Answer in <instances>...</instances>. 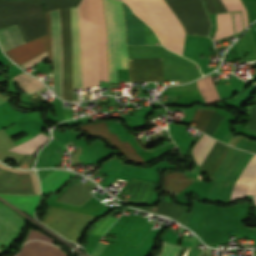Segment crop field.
I'll return each instance as SVG.
<instances>
[{"label":"crop field","instance_id":"8a807250","mask_svg":"<svg viewBox=\"0 0 256 256\" xmlns=\"http://www.w3.org/2000/svg\"><path fill=\"white\" fill-rule=\"evenodd\" d=\"M108 27L110 83L116 69L127 68L126 32L121 1L104 0ZM130 81H163L162 58L128 59Z\"/></svg>","mask_w":256,"mask_h":256},{"label":"crop field","instance_id":"ac0d7876","mask_svg":"<svg viewBox=\"0 0 256 256\" xmlns=\"http://www.w3.org/2000/svg\"><path fill=\"white\" fill-rule=\"evenodd\" d=\"M158 35L168 49L182 54L185 32L163 0H124Z\"/></svg>","mask_w":256,"mask_h":256},{"label":"crop field","instance_id":"34b2d1b8","mask_svg":"<svg viewBox=\"0 0 256 256\" xmlns=\"http://www.w3.org/2000/svg\"><path fill=\"white\" fill-rule=\"evenodd\" d=\"M16 24L25 42L46 33L41 2L0 0V29Z\"/></svg>","mask_w":256,"mask_h":256},{"label":"crop field","instance_id":"412701ff","mask_svg":"<svg viewBox=\"0 0 256 256\" xmlns=\"http://www.w3.org/2000/svg\"><path fill=\"white\" fill-rule=\"evenodd\" d=\"M96 217L49 206L43 220L44 224L68 240L78 242L83 230Z\"/></svg>","mask_w":256,"mask_h":256},{"label":"crop field","instance_id":"f4fd0767","mask_svg":"<svg viewBox=\"0 0 256 256\" xmlns=\"http://www.w3.org/2000/svg\"><path fill=\"white\" fill-rule=\"evenodd\" d=\"M83 87L99 85L97 26L81 19Z\"/></svg>","mask_w":256,"mask_h":256},{"label":"crop field","instance_id":"dd49c442","mask_svg":"<svg viewBox=\"0 0 256 256\" xmlns=\"http://www.w3.org/2000/svg\"><path fill=\"white\" fill-rule=\"evenodd\" d=\"M79 17L98 25L100 80L108 82L107 53H106V21L102 0H81Z\"/></svg>","mask_w":256,"mask_h":256},{"label":"crop field","instance_id":"e52e79f7","mask_svg":"<svg viewBox=\"0 0 256 256\" xmlns=\"http://www.w3.org/2000/svg\"><path fill=\"white\" fill-rule=\"evenodd\" d=\"M63 46V99L72 101V52L69 8L60 9Z\"/></svg>","mask_w":256,"mask_h":256},{"label":"crop field","instance_id":"d8731c3e","mask_svg":"<svg viewBox=\"0 0 256 256\" xmlns=\"http://www.w3.org/2000/svg\"><path fill=\"white\" fill-rule=\"evenodd\" d=\"M47 20L48 35L41 36L32 41L19 45L15 48L5 51V53L18 65L28 59L48 50V62H52L51 57V24L49 13H44Z\"/></svg>","mask_w":256,"mask_h":256},{"label":"crop field","instance_id":"5a996713","mask_svg":"<svg viewBox=\"0 0 256 256\" xmlns=\"http://www.w3.org/2000/svg\"><path fill=\"white\" fill-rule=\"evenodd\" d=\"M79 128L89 134L102 135L108 143L120 150L125 159L138 164H146L128 141L121 142L116 134H111L105 122L87 124Z\"/></svg>","mask_w":256,"mask_h":256},{"label":"crop field","instance_id":"3316defc","mask_svg":"<svg viewBox=\"0 0 256 256\" xmlns=\"http://www.w3.org/2000/svg\"><path fill=\"white\" fill-rule=\"evenodd\" d=\"M54 93L62 98V47L59 11H51Z\"/></svg>","mask_w":256,"mask_h":256},{"label":"crop field","instance_id":"28ad6ade","mask_svg":"<svg viewBox=\"0 0 256 256\" xmlns=\"http://www.w3.org/2000/svg\"><path fill=\"white\" fill-rule=\"evenodd\" d=\"M25 221L0 204V245H9L18 235Z\"/></svg>","mask_w":256,"mask_h":256},{"label":"crop field","instance_id":"d1516ede","mask_svg":"<svg viewBox=\"0 0 256 256\" xmlns=\"http://www.w3.org/2000/svg\"><path fill=\"white\" fill-rule=\"evenodd\" d=\"M72 24L73 89H82L81 42L77 8H70Z\"/></svg>","mask_w":256,"mask_h":256},{"label":"crop field","instance_id":"22f410ed","mask_svg":"<svg viewBox=\"0 0 256 256\" xmlns=\"http://www.w3.org/2000/svg\"><path fill=\"white\" fill-rule=\"evenodd\" d=\"M230 150L231 147L216 141L212 150L207 154L206 158L202 162L199 170L204 172L211 180Z\"/></svg>","mask_w":256,"mask_h":256},{"label":"crop field","instance_id":"cbeb9de0","mask_svg":"<svg viewBox=\"0 0 256 256\" xmlns=\"http://www.w3.org/2000/svg\"><path fill=\"white\" fill-rule=\"evenodd\" d=\"M95 186L96 185H94L90 181H88L84 187L75 182L55 201L81 206L83 203H85L89 198L93 196L89 192Z\"/></svg>","mask_w":256,"mask_h":256},{"label":"crop field","instance_id":"5142ce71","mask_svg":"<svg viewBox=\"0 0 256 256\" xmlns=\"http://www.w3.org/2000/svg\"><path fill=\"white\" fill-rule=\"evenodd\" d=\"M16 256H68L59 248L39 241L27 242Z\"/></svg>","mask_w":256,"mask_h":256},{"label":"crop field","instance_id":"d9b57169","mask_svg":"<svg viewBox=\"0 0 256 256\" xmlns=\"http://www.w3.org/2000/svg\"><path fill=\"white\" fill-rule=\"evenodd\" d=\"M78 175L62 170H54L43 180L40 181L42 194H49L52 191H56L59 187L64 186L69 179Z\"/></svg>","mask_w":256,"mask_h":256},{"label":"crop field","instance_id":"733c2abd","mask_svg":"<svg viewBox=\"0 0 256 256\" xmlns=\"http://www.w3.org/2000/svg\"><path fill=\"white\" fill-rule=\"evenodd\" d=\"M0 197L7 200L10 204L25 211L33 216V212L39 203L38 195H16V194H0Z\"/></svg>","mask_w":256,"mask_h":256},{"label":"crop field","instance_id":"4a817a6b","mask_svg":"<svg viewBox=\"0 0 256 256\" xmlns=\"http://www.w3.org/2000/svg\"><path fill=\"white\" fill-rule=\"evenodd\" d=\"M193 181L194 180L188 178L179 171L174 173H167L164 171V186L161 190L165 192H173L177 195Z\"/></svg>","mask_w":256,"mask_h":256},{"label":"crop field","instance_id":"bc2a9ffb","mask_svg":"<svg viewBox=\"0 0 256 256\" xmlns=\"http://www.w3.org/2000/svg\"><path fill=\"white\" fill-rule=\"evenodd\" d=\"M255 177H256V156L254 157L249 167L247 168V170L239 180L235 188L232 200L243 198L247 193L248 187L251 185Z\"/></svg>","mask_w":256,"mask_h":256},{"label":"crop field","instance_id":"214f88e0","mask_svg":"<svg viewBox=\"0 0 256 256\" xmlns=\"http://www.w3.org/2000/svg\"><path fill=\"white\" fill-rule=\"evenodd\" d=\"M11 79L17 81L18 87L22 91H24L30 95H32L33 93H36L38 91H41L43 89H46V86L44 84L39 82L36 78L27 75L23 71L20 72L19 74L15 75Z\"/></svg>","mask_w":256,"mask_h":256},{"label":"crop field","instance_id":"92a150f3","mask_svg":"<svg viewBox=\"0 0 256 256\" xmlns=\"http://www.w3.org/2000/svg\"><path fill=\"white\" fill-rule=\"evenodd\" d=\"M24 43L16 25L0 30V45L3 51Z\"/></svg>","mask_w":256,"mask_h":256},{"label":"crop field","instance_id":"dafd665d","mask_svg":"<svg viewBox=\"0 0 256 256\" xmlns=\"http://www.w3.org/2000/svg\"><path fill=\"white\" fill-rule=\"evenodd\" d=\"M197 84L199 92L206 104L220 99L210 76L198 80Z\"/></svg>","mask_w":256,"mask_h":256},{"label":"crop field","instance_id":"00972430","mask_svg":"<svg viewBox=\"0 0 256 256\" xmlns=\"http://www.w3.org/2000/svg\"><path fill=\"white\" fill-rule=\"evenodd\" d=\"M50 138L38 134L35 137L13 147L11 151L19 152V153H29L32 154L34 151H36L40 146H42L46 141H48Z\"/></svg>","mask_w":256,"mask_h":256},{"label":"crop field","instance_id":"a9b5d70f","mask_svg":"<svg viewBox=\"0 0 256 256\" xmlns=\"http://www.w3.org/2000/svg\"><path fill=\"white\" fill-rule=\"evenodd\" d=\"M217 22L218 28L214 41L234 34L230 13L217 14Z\"/></svg>","mask_w":256,"mask_h":256},{"label":"crop field","instance_id":"4177f3b9","mask_svg":"<svg viewBox=\"0 0 256 256\" xmlns=\"http://www.w3.org/2000/svg\"><path fill=\"white\" fill-rule=\"evenodd\" d=\"M215 143V140L207 137L206 135H202V137L197 142L196 146L192 150V154L196 159L197 165L200 166L201 162L205 158L206 154Z\"/></svg>","mask_w":256,"mask_h":256},{"label":"crop field","instance_id":"730fd06b","mask_svg":"<svg viewBox=\"0 0 256 256\" xmlns=\"http://www.w3.org/2000/svg\"><path fill=\"white\" fill-rule=\"evenodd\" d=\"M213 111L197 108L193 117V120L198 121L195 128L203 132L211 114Z\"/></svg>","mask_w":256,"mask_h":256},{"label":"crop field","instance_id":"eef30255","mask_svg":"<svg viewBox=\"0 0 256 256\" xmlns=\"http://www.w3.org/2000/svg\"><path fill=\"white\" fill-rule=\"evenodd\" d=\"M228 11L242 10L244 27L248 26L246 10L240 0H222Z\"/></svg>","mask_w":256,"mask_h":256},{"label":"crop field","instance_id":"ae1a2a85","mask_svg":"<svg viewBox=\"0 0 256 256\" xmlns=\"http://www.w3.org/2000/svg\"><path fill=\"white\" fill-rule=\"evenodd\" d=\"M206 3V10L209 14L215 13L216 12V6L212 2V0H204ZM218 6V12H223L226 11L223 3L221 0H214Z\"/></svg>","mask_w":256,"mask_h":256},{"label":"crop field","instance_id":"d3111659","mask_svg":"<svg viewBox=\"0 0 256 256\" xmlns=\"http://www.w3.org/2000/svg\"><path fill=\"white\" fill-rule=\"evenodd\" d=\"M30 239H40V240H42V241H47V242H52V240H53V239H51V238H49V237H47V236H45V235L39 233V232L36 231V230H33V229L30 230L26 241H27V240H30ZM26 241H25V242H26ZM53 241H54V240H53Z\"/></svg>","mask_w":256,"mask_h":256},{"label":"crop field","instance_id":"750c4746","mask_svg":"<svg viewBox=\"0 0 256 256\" xmlns=\"http://www.w3.org/2000/svg\"><path fill=\"white\" fill-rule=\"evenodd\" d=\"M45 58H47V52H45V53H43V54H41V55L31 59L30 61H28V62H26V63H24V64H22L20 66L25 70L28 67L32 66L33 64H35V63H37V62H39V61H41V60H43Z\"/></svg>","mask_w":256,"mask_h":256},{"label":"crop field","instance_id":"bd1437ed","mask_svg":"<svg viewBox=\"0 0 256 256\" xmlns=\"http://www.w3.org/2000/svg\"><path fill=\"white\" fill-rule=\"evenodd\" d=\"M233 16H234L235 30L236 32H238L240 29H242L240 12L233 13Z\"/></svg>","mask_w":256,"mask_h":256},{"label":"crop field","instance_id":"1d83c4d3","mask_svg":"<svg viewBox=\"0 0 256 256\" xmlns=\"http://www.w3.org/2000/svg\"><path fill=\"white\" fill-rule=\"evenodd\" d=\"M253 197V199H254V202H255V204H256V196H252Z\"/></svg>","mask_w":256,"mask_h":256},{"label":"crop field","instance_id":"120bbe31","mask_svg":"<svg viewBox=\"0 0 256 256\" xmlns=\"http://www.w3.org/2000/svg\"><path fill=\"white\" fill-rule=\"evenodd\" d=\"M201 256H207V254H205V253L202 252Z\"/></svg>","mask_w":256,"mask_h":256}]
</instances>
